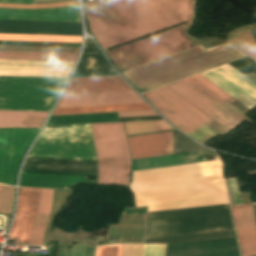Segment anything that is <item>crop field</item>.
<instances>
[{"instance_id": "crop-field-1", "label": "crop field", "mask_w": 256, "mask_h": 256, "mask_svg": "<svg viewBox=\"0 0 256 256\" xmlns=\"http://www.w3.org/2000/svg\"><path fill=\"white\" fill-rule=\"evenodd\" d=\"M84 5L91 33L121 72L201 44L185 34L193 0H91Z\"/></svg>"}, {"instance_id": "crop-field-2", "label": "crop field", "mask_w": 256, "mask_h": 256, "mask_svg": "<svg viewBox=\"0 0 256 256\" xmlns=\"http://www.w3.org/2000/svg\"><path fill=\"white\" fill-rule=\"evenodd\" d=\"M136 207L148 212L229 203L216 161L133 172Z\"/></svg>"}, {"instance_id": "crop-field-3", "label": "crop field", "mask_w": 256, "mask_h": 256, "mask_svg": "<svg viewBox=\"0 0 256 256\" xmlns=\"http://www.w3.org/2000/svg\"><path fill=\"white\" fill-rule=\"evenodd\" d=\"M226 42L205 50L202 45L123 72L141 92L244 56Z\"/></svg>"}, {"instance_id": "crop-field-4", "label": "crop field", "mask_w": 256, "mask_h": 256, "mask_svg": "<svg viewBox=\"0 0 256 256\" xmlns=\"http://www.w3.org/2000/svg\"><path fill=\"white\" fill-rule=\"evenodd\" d=\"M90 126L98 158V184L129 185L131 159L122 123Z\"/></svg>"}, {"instance_id": "crop-field-5", "label": "crop field", "mask_w": 256, "mask_h": 256, "mask_svg": "<svg viewBox=\"0 0 256 256\" xmlns=\"http://www.w3.org/2000/svg\"><path fill=\"white\" fill-rule=\"evenodd\" d=\"M22 172L98 176L97 161H75L28 157ZM22 173L20 186L66 189L75 185L97 184L89 176Z\"/></svg>"}, {"instance_id": "crop-field-6", "label": "crop field", "mask_w": 256, "mask_h": 256, "mask_svg": "<svg viewBox=\"0 0 256 256\" xmlns=\"http://www.w3.org/2000/svg\"><path fill=\"white\" fill-rule=\"evenodd\" d=\"M65 80L0 77V110L49 112Z\"/></svg>"}, {"instance_id": "crop-field-7", "label": "crop field", "mask_w": 256, "mask_h": 256, "mask_svg": "<svg viewBox=\"0 0 256 256\" xmlns=\"http://www.w3.org/2000/svg\"><path fill=\"white\" fill-rule=\"evenodd\" d=\"M144 95L177 129L200 143L228 132L165 86Z\"/></svg>"}, {"instance_id": "crop-field-8", "label": "crop field", "mask_w": 256, "mask_h": 256, "mask_svg": "<svg viewBox=\"0 0 256 256\" xmlns=\"http://www.w3.org/2000/svg\"><path fill=\"white\" fill-rule=\"evenodd\" d=\"M28 156L97 160L89 124L45 127Z\"/></svg>"}, {"instance_id": "crop-field-9", "label": "crop field", "mask_w": 256, "mask_h": 256, "mask_svg": "<svg viewBox=\"0 0 256 256\" xmlns=\"http://www.w3.org/2000/svg\"><path fill=\"white\" fill-rule=\"evenodd\" d=\"M53 191L41 189L40 195V189L19 188L16 217L8 239L18 240L17 245L29 244L40 195L29 245H41L51 212Z\"/></svg>"}, {"instance_id": "crop-field-10", "label": "crop field", "mask_w": 256, "mask_h": 256, "mask_svg": "<svg viewBox=\"0 0 256 256\" xmlns=\"http://www.w3.org/2000/svg\"><path fill=\"white\" fill-rule=\"evenodd\" d=\"M39 130H0V182L14 185L22 158Z\"/></svg>"}, {"instance_id": "crop-field-11", "label": "crop field", "mask_w": 256, "mask_h": 256, "mask_svg": "<svg viewBox=\"0 0 256 256\" xmlns=\"http://www.w3.org/2000/svg\"><path fill=\"white\" fill-rule=\"evenodd\" d=\"M234 228L231 215L147 223L145 238Z\"/></svg>"}, {"instance_id": "crop-field-12", "label": "crop field", "mask_w": 256, "mask_h": 256, "mask_svg": "<svg viewBox=\"0 0 256 256\" xmlns=\"http://www.w3.org/2000/svg\"><path fill=\"white\" fill-rule=\"evenodd\" d=\"M248 109L256 105V84L226 64L201 73Z\"/></svg>"}, {"instance_id": "crop-field-13", "label": "crop field", "mask_w": 256, "mask_h": 256, "mask_svg": "<svg viewBox=\"0 0 256 256\" xmlns=\"http://www.w3.org/2000/svg\"><path fill=\"white\" fill-rule=\"evenodd\" d=\"M75 62L0 60V75L68 77Z\"/></svg>"}, {"instance_id": "crop-field-14", "label": "crop field", "mask_w": 256, "mask_h": 256, "mask_svg": "<svg viewBox=\"0 0 256 256\" xmlns=\"http://www.w3.org/2000/svg\"><path fill=\"white\" fill-rule=\"evenodd\" d=\"M146 103L134 91L64 94L57 108Z\"/></svg>"}, {"instance_id": "crop-field-15", "label": "crop field", "mask_w": 256, "mask_h": 256, "mask_svg": "<svg viewBox=\"0 0 256 256\" xmlns=\"http://www.w3.org/2000/svg\"><path fill=\"white\" fill-rule=\"evenodd\" d=\"M166 86L181 96L183 99H185L187 102L192 104L194 107L199 109L201 112L206 114L208 117L213 119L219 125L224 127L226 130L229 131L240 124V122H238L236 119L227 114L225 111L216 106L214 103H212L210 100H208L206 97L201 95L182 80Z\"/></svg>"}, {"instance_id": "crop-field-16", "label": "crop field", "mask_w": 256, "mask_h": 256, "mask_svg": "<svg viewBox=\"0 0 256 256\" xmlns=\"http://www.w3.org/2000/svg\"><path fill=\"white\" fill-rule=\"evenodd\" d=\"M132 159L173 154L171 132L127 138Z\"/></svg>"}, {"instance_id": "crop-field-17", "label": "crop field", "mask_w": 256, "mask_h": 256, "mask_svg": "<svg viewBox=\"0 0 256 256\" xmlns=\"http://www.w3.org/2000/svg\"><path fill=\"white\" fill-rule=\"evenodd\" d=\"M243 256L256 255V222L251 204L231 206Z\"/></svg>"}, {"instance_id": "crop-field-18", "label": "crop field", "mask_w": 256, "mask_h": 256, "mask_svg": "<svg viewBox=\"0 0 256 256\" xmlns=\"http://www.w3.org/2000/svg\"><path fill=\"white\" fill-rule=\"evenodd\" d=\"M132 90L120 77L71 79L65 93Z\"/></svg>"}, {"instance_id": "crop-field-19", "label": "crop field", "mask_w": 256, "mask_h": 256, "mask_svg": "<svg viewBox=\"0 0 256 256\" xmlns=\"http://www.w3.org/2000/svg\"><path fill=\"white\" fill-rule=\"evenodd\" d=\"M133 161V171L158 167L181 165L205 161L201 151L174 154L170 156L136 159Z\"/></svg>"}, {"instance_id": "crop-field-20", "label": "crop field", "mask_w": 256, "mask_h": 256, "mask_svg": "<svg viewBox=\"0 0 256 256\" xmlns=\"http://www.w3.org/2000/svg\"><path fill=\"white\" fill-rule=\"evenodd\" d=\"M230 213L229 204L148 213L147 222Z\"/></svg>"}, {"instance_id": "crop-field-21", "label": "crop field", "mask_w": 256, "mask_h": 256, "mask_svg": "<svg viewBox=\"0 0 256 256\" xmlns=\"http://www.w3.org/2000/svg\"><path fill=\"white\" fill-rule=\"evenodd\" d=\"M48 113L0 111V128H40Z\"/></svg>"}, {"instance_id": "crop-field-22", "label": "crop field", "mask_w": 256, "mask_h": 256, "mask_svg": "<svg viewBox=\"0 0 256 256\" xmlns=\"http://www.w3.org/2000/svg\"><path fill=\"white\" fill-rule=\"evenodd\" d=\"M0 15L80 17L77 5L62 7V8H54V9H6V8H0Z\"/></svg>"}, {"instance_id": "crop-field-23", "label": "crop field", "mask_w": 256, "mask_h": 256, "mask_svg": "<svg viewBox=\"0 0 256 256\" xmlns=\"http://www.w3.org/2000/svg\"><path fill=\"white\" fill-rule=\"evenodd\" d=\"M117 121L116 113L51 116L48 125Z\"/></svg>"}, {"instance_id": "crop-field-24", "label": "crop field", "mask_w": 256, "mask_h": 256, "mask_svg": "<svg viewBox=\"0 0 256 256\" xmlns=\"http://www.w3.org/2000/svg\"><path fill=\"white\" fill-rule=\"evenodd\" d=\"M153 110L148 104L55 109L53 115Z\"/></svg>"}, {"instance_id": "crop-field-25", "label": "crop field", "mask_w": 256, "mask_h": 256, "mask_svg": "<svg viewBox=\"0 0 256 256\" xmlns=\"http://www.w3.org/2000/svg\"><path fill=\"white\" fill-rule=\"evenodd\" d=\"M78 54L0 52V59L75 61Z\"/></svg>"}, {"instance_id": "crop-field-26", "label": "crop field", "mask_w": 256, "mask_h": 256, "mask_svg": "<svg viewBox=\"0 0 256 256\" xmlns=\"http://www.w3.org/2000/svg\"><path fill=\"white\" fill-rule=\"evenodd\" d=\"M186 83H188L190 86H192L193 88H195L197 91H199L201 94H203L204 96H206L208 99H210L212 102H214L216 105H218L219 107H221L223 110H225L227 113H229L230 115H232L234 118H236L238 121H241L242 117L244 114H242L240 111H238L237 109H235L233 106H231L230 104H228L226 101H224L223 99H221L219 96H217L215 93H213L212 91H210L208 88H206L205 86H203L201 83H199L198 81H196L194 78L190 77V78H186L183 79ZM183 81V82H184ZM187 84V85H188ZM194 89V90H195Z\"/></svg>"}, {"instance_id": "crop-field-27", "label": "crop field", "mask_w": 256, "mask_h": 256, "mask_svg": "<svg viewBox=\"0 0 256 256\" xmlns=\"http://www.w3.org/2000/svg\"><path fill=\"white\" fill-rule=\"evenodd\" d=\"M228 40L256 60V43L248 26L234 30Z\"/></svg>"}, {"instance_id": "crop-field-28", "label": "crop field", "mask_w": 256, "mask_h": 256, "mask_svg": "<svg viewBox=\"0 0 256 256\" xmlns=\"http://www.w3.org/2000/svg\"><path fill=\"white\" fill-rule=\"evenodd\" d=\"M114 72L103 56L84 54L75 74Z\"/></svg>"}, {"instance_id": "crop-field-29", "label": "crop field", "mask_w": 256, "mask_h": 256, "mask_svg": "<svg viewBox=\"0 0 256 256\" xmlns=\"http://www.w3.org/2000/svg\"><path fill=\"white\" fill-rule=\"evenodd\" d=\"M124 126L127 135L172 128L163 120L124 123Z\"/></svg>"}, {"instance_id": "crop-field-30", "label": "crop field", "mask_w": 256, "mask_h": 256, "mask_svg": "<svg viewBox=\"0 0 256 256\" xmlns=\"http://www.w3.org/2000/svg\"><path fill=\"white\" fill-rule=\"evenodd\" d=\"M81 37L0 34V40L80 42Z\"/></svg>"}, {"instance_id": "crop-field-31", "label": "crop field", "mask_w": 256, "mask_h": 256, "mask_svg": "<svg viewBox=\"0 0 256 256\" xmlns=\"http://www.w3.org/2000/svg\"><path fill=\"white\" fill-rule=\"evenodd\" d=\"M80 48L63 47H29V46H0V51H28V52H62L78 53Z\"/></svg>"}, {"instance_id": "crop-field-32", "label": "crop field", "mask_w": 256, "mask_h": 256, "mask_svg": "<svg viewBox=\"0 0 256 256\" xmlns=\"http://www.w3.org/2000/svg\"><path fill=\"white\" fill-rule=\"evenodd\" d=\"M14 187L0 184V211L11 213Z\"/></svg>"}, {"instance_id": "crop-field-33", "label": "crop field", "mask_w": 256, "mask_h": 256, "mask_svg": "<svg viewBox=\"0 0 256 256\" xmlns=\"http://www.w3.org/2000/svg\"><path fill=\"white\" fill-rule=\"evenodd\" d=\"M0 20H29V21H63V22H80V18H63V17H29V16H0Z\"/></svg>"}, {"instance_id": "crop-field-34", "label": "crop field", "mask_w": 256, "mask_h": 256, "mask_svg": "<svg viewBox=\"0 0 256 256\" xmlns=\"http://www.w3.org/2000/svg\"><path fill=\"white\" fill-rule=\"evenodd\" d=\"M74 4H77V2L76 1H71V2L42 4V5H20V4L0 3V7H7V8H53V7H62V6L74 5Z\"/></svg>"}, {"instance_id": "crop-field-35", "label": "crop field", "mask_w": 256, "mask_h": 256, "mask_svg": "<svg viewBox=\"0 0 256 256\" xmlns=\"http://www.w3.org/2000/svg\"><path fill=\"white\" fill-rule=\"evenodd\" d=\"M122 244L98 246L96 256H121Z\"/></svg>"}, {"instance_id": "crop-field-36", "label": "crop field", "mask_w": 256, "mask_h": 256, "mask_svg": "<svg viewBox=\"0 0 256 256\" xmlns=\"http://www.w3.org/2000/svg\"><path fill=\"white\" fill-rule=\"evenodd\" d=\"M195 79H197L199 82H201L202 84H204L205 86H207L209 89H211L212 91H214L215 93H217L219 96H221L222 98H224L225 100H227L229 103H233L236 100H234L232 97H230L228 94H226L225 92H223L221 89H219L217 86H215L213 83H211L210 81H208L206 78H204L202 75L198 74L193 76Z\"/></svg>"}, {"instance_id": "crop-field-37", "label": "crop field", "mask_w": 256, "mask_h": 256, "mask_svg": "<svg viewBox=\"0 0 256 256\" xmlns=\"http://www.w3.org/2000/svg\"><path fill=\"white\" fill-rule=\"evenodd\" d=\"M231 66H233L235 69L243 73L245 76L249 77L256 73V69L250 66L248 63H246L244 60L240 59L237 61H234L232 63H229Z\"/></svg>"}, {"instance_id": "crop-field-38", "label": "crop field", "mask_w": 256, "mask_h": 256, "mask_svg": "<svg viewBox=\"0 0 256 256\" xmlns=\"http://www.w3.org/2000/svg\"><path fill=\"white\" fill-rule=\"evenodd\" d=\"M166 245H144L143 256H164Z\"/></svg>"}, {"instance_id": "crop-field-39", "label": "crop field", "mask_w": 256, "mask_h": 256, "mask_svg": "<svg viewBox=\"0 0 256 256\" xmlns=\"http://www.w3.org/2000/svg\"><path fill=\"white\" fill-rule=\"evenodd\" d=\"M143 245L123 244L122 256H142Z\"/></svg>"}, {"instance_id": "crop-field-40", "label": "crop field", "mask_w": 256, "mask_h": 256, "mask_svg": "<svg viewBox=\"0 0 256 256\" xmlns=\"http://www.w3.org/2000/svg\"><path fill=\"white\" fill-rule=\"evenodd\" d=\"M153 115H158V114L155 111L118 113L119 118L153 116Z\"/></svg>"}, {"instance_id": "crop-field-41", "label": "crop field", "mask_w": 256, "mask_h": 256, "mask_svg": "<svg viewBox=\"0 0 256 256\" xmlns=\"http://www.w3.org/2000/svg\"><path fill=\"white\" fill-rule=\"evenodd\" d=\"M229 179H230V183H231V187H232V191H233L236 203L240 204V203H242V201H241L240 193H239L238 186L236 183V179L235 178H229Z\"/></svg>"}, {"instance_id": "crop-field-42", "label": "crop field", "mask_w": 256, "mask_h": 256, "mask_svg": "<svg viewBox=\"0 0 256 256\" xmlns=\"http://www.w3.org/2000/svg\"><path fill=\"white\" fill-rule=\"evenodd\" d=\"M152 119H162V118L160 116H153V117L125 118V119H119V121L152 120Z\"/></svg>"}, {"instance_id": "crop-field-43", "label": "crop field", "mask_w": 256, "mask_h": 256, "mask_svg": "<svg viewBox=\"0 0 256 256\" xmlns=\"http://www.w3.org/2000/svg\"><path fill=\"white\" fill-rule=\"evenodd\" d=\"M0 2L33 4V0H0Z\"/></svg>"}, {"instance_id": "crop-field-44", "label": "crop field", "mask_w": 256, "mask_h": 256, "mask_svg": "<svg viewBox=\"0 0 256 256\" xmlns=\"http://www.w3.org/2000/svg\"><path fill=\"white\" fill-rule=\"evenodd\" d=\"M116 73H105V74H84V75H74V76H96V75H110Z\"/></svg>"}, {"instance_id": "crop-field-45", "label": "crop field", "mask_w": 256, "mask_h": 256, "mask_svg": "<svg viewBox=\"0 0 256 256\" xmlns=\"http://www.w3.org/2000/svg\"><path fill=\"white\" fill-rule=\"evenodd\" d=\"M256 41V25L249 26Z\"/></svg>"}, {"instance_id": "crop-field-46", "label": "crop field", "mask_w": 256, "mask_h": 256, "mask_svg": "<svg viewBox=\"0 0 256 256\" xmlns=\"http://www.w3.org/2000/svg\"><path fill=\"white\" fill-rule=\"evenodd\" d=\"M135 211H146V210H135ZM124 212H134V211H124ZM135 213H145V212H135ZM123 214H134V213H123Z\"/></svg>"}, {"instance_id": "crop-field-47", "label": "crop field", "mask_w": 256, "mask_h": 256, "mask_svg": "<svg viewBox=\"0 0 256 256\" xmlns=\"http://www.w3.org/2000/svg\"><path fill=\"white\" fill-rule=\"evenodd\" d=\"M253 206V210H254V214H255V218H256V204H252Z\"/></svg>"}]
</instances>
